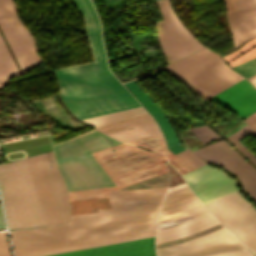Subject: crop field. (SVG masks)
Listing matches in <instances>:
<instances>
[{"label": "crop field", "instance_id": "crop-field-5", "mask_svg": "<svg viewBox=\"0 0 256 256\" xmlns=\"http://www.w3.org/2000/svg\"><path fill=\"white\" fill-rule=\"evenodd\" d=\"M200 97L208 100L226 87L244 79L207 48L165 67Z\"/></svg>", "mask_w": 256, "mask_h": 256}, {"label": "crop field", "instance_id": "crop-field-18", "mask_svg": "<svg viewBox=\"0 0 256 256\" xmlns=\"http://www.w3.org/2000/svg\"><path fill=\"white\" fill-rule=\"evenodd\" d=\"M147 112L143 109H135V110H130V111H124V112H119V113H114V114H109V115H104V116H100V117H95V118H91V119H87V120H83L89 124H91L92 126H94L95 128L106 125V124H110L122 119H126V118H130V117H134V116H138V115H142V114H146Z\"/></svg>", "mask_w": 256, "mask_h": 256}, {"label": "crop field", "instance_id": "crop-field-20", "mask_svg": "<svg viewBox=\"0 0 256 256\" xmlns=\"http://www.w3.org/2000/svg\"><path fill=\"white\" fill-rule=\"evenodd\" d=\"M154 231L155 230H150V231H144V232H138V233H132V234H124V235H117V236L102 237V238H96V239H90V240H84V241H78V242H72V243H66V244H60V245H53V246L18 250V251H14V253H15V255H17V254H23V253L34 252V251L45 250V249H51V248L62 247V246H68V245L103 241V240H109V239H115V238H121V237L133 236V235H140V234H149V233H154Z\"/></svg>", "mask_w": 256, "mask_h": 256}, {"label": "crop field", "instance_id": "crop-field-29", "mask_svg": "<svg viewBox=\"0 0 256 256\" xmlns=\"http://www.w3.org/2000/svg\"><path fill=\"white\" fill-rule=\"evenodd\" d=\"M226 2V6H227V10L230 11V10H235L234 6H233V3L231 0H225Z\"/></svg>", "mask_w": 256, "mask_h": 256}, {"label": "crop field", "instance_id": "crop-field-8", "mask_svg": "<svg viewBox=\"0 0 256 256\" xmlns=\"http://www.w3.org/2000/svg\"><path fill=\"white\" fill-rule=\"evenodd\" d=\"M156 251L158 256H253L224 227L200 238Z\"/></svg>", "mask_w": 256, "mask_h": 256}, {"label": "crop field", "instance_id": "crop-field-12", "mask_svg": "<svg viewBox=\"0 0 256 256\" xmlns=\"http://www.w3.org/2000/svg\"><path fill=\"white\" fill-rule=\"evenodd\" d=\"M211 99L237 112L242 119L256 111V90L245 79Z\"/></svg>", "mask_w": 256, "mask_h": 256}, {"label": "crop field", "instance_id": "crop-field-1", "mask_svg": "<svg viewBox=\"0 0 256 256\" xmlns=\"http://www.w3.org/2000/svg\"><path fill=\"white\" fill-rule=\"evenodd\" d=\"M26 159L48 226L70 223L67 191L52 151ZM26 159L0 165V192L10 231L47 226Z\"/></svg>", "mask_w": 256, "mask_h": 256}, {"label": "crop field", "instance_id": "crop-field-23", "mask_svg": "<svg viewBox=\"0 0 256 256\" xmlns=\"http://www.w3.org/2000/svg\"><path fill=\"white\" fill-rule=\"evenodd\" d=\"M232 68L241 74H243L246 78L256 74V58L240 63L238 65L232 66Z\"/></svg>", "mask_w": 256, "mask_h": 256}, {"label": "crop field", "instance_id": "crop-field-6", "mask_svg": "<svg viewBox=\"0 0 256 256\" xmlns=\"http://www.w3.org/2000/svg\"><path fill=\"white\" fill-rule=\"evenodd\" d=\"M17 17L12 0H0V31L20 69L16 72L0 40V88L9 77L29 71L40 61L34 40Z\"/></svg>", "mask_w": 256, "mask_h": 256}, {"label": "crop field", "instance_id": "crop-field-28", "mask_svg": "<svg viewBox=\"0 0 256 256\" xmlns=\"http://www.w3.org/2000/svg\"><path fill=\"white\" fill-rule=\"evenodd\" d=\"M248 125L253 127L256 130V116L255 115H250L249 117L243 119Z\"/></svg>", "mask_w": 256, "mask_h": 256}, {"label": "crop field", "instance_id": "crop-field-3", "mask_svg": "<svg viewBox=\"0 0 256 256\" xmlns=\"http://www.w3.org/2000/svg\"><path fill=\"white\" fill-rule=\"evenodd\" d=\"M135 146L124 143L92 154L118 186L72 192L69 193V200L108 197L106 192L166 172L162 157Z\"/></svg>", "mask_w": 256, "mask_h": 256}, {"label": "crop field", "instance_id": "crop-field-4", "mask_svg": "<svg viewBox=\"0 0 256 256\" xmlns=\"http://www.w3.org/2000/svg\"><path fill=\"white\" fill-rule=\"evenodd\" d=\"M52 147L69 192L115 185L90 155L106 149L95 130Z\"/></svg>", "mask_w": 256, "mask_h": 256}, {"label": "crop field", "instance_id": "crop-field-25", "mask_svg": "<svg viewBox=\"0 0 256 256\" xmlns=\"http://www.w3.org/2000/svg\"><path fill=\"white\" fill-rule=\"evenodd\" d=\"M168 162L181 174L193 170L190 166L168 151Z\"/></svg>", "mask_w": 256, "mask_h": 256}, {"label": "crop field", "instance_id": "crop-field-14", "mask_svg": "<svg viewBox=\"0 0 256 256\" xmlns=\"http://www.w3.org/2000/svg\"><path fill=\"white\" fill-rule=\"evenodd\" d=\"M253 6L228 12V19L235 49L256 37V0Z\"/></svg>", "mask_w": 256, "mask_h": 256}, {"label": "crop field", "instance_id": "crop-field-26", "mask_svg": "<svg viewBox=\"0 0 256 256\" xmlns=\"http://www.w3.org/2000/svg\"><path fill=\"white\" fill-rule=\"evenodd\" d=\"M0 256H9L3 232H0Z\"/></svg>", "mask_w": 256, "mask_h": 256}, {"label": "crop field", "instance_id": "crop-field-21", "mask_svg": "<svg viewBox=\"0 0 256 256\" xmlns=\"http://www.w3.org/2000/svg\"><path fill=\"white\" fill-rule=\"evenodd\" d=\"M132 143H135V144L141 145L145 148H148L150 150H153V151L157 152L158 154H160L164 158L166 157L165 144L162 140L160 133L132 141Z\"/></svg>", "mask_w": 256, "mask_h": 256}, {"label": "crop field", "instance_id": "crop-field-2", "mask_svg": "<svg viewBox=\"0 0 256 256\" xmlns=\"http://www.w3.org/2000/svg\"><path fill=\"white\" fill-rule=\"evenodd\" d=\"M85 22L94 61L53 70L62 102L78 119L141 106L107 70L98 18L89 0H71Z\"/></svg>", "mask_w": 256, "mask_h": 256}, {"label": "crop field", "instance_id": "crop-field-31", "mask_svg": "<svg viewBox=\"0 0 256 256\" xmlns=\"http://www.w3.org/2000/svg\"><path fill=\"white\" fill-rule=\"evenodd\" d=\"M250 82H251V83L256 82V78H255V79H253V80H250Z\"/></svg>", "mask_w": 256, "mask_h": 256}, {"label": "crop field", "instance_id": "crop-field-30", "mask_svg": "<svg viewBox=\"0 0 256 256\" xmlns=\"http://www.w3.org/2000/svg\"><path fill=\"white\" fill-rule=\"evenodd\" d=\"M3 229H5V226H4V221H3L2 212L0 208V230H3Z\"/></svg>", "mask_w": 256, "mask_h": 256}, {"label": "crop field", "instance_id": "crop-field-17", "mask_svg": "<svg viewBox=\"0 0 256 256\" xmlns=\"http://www.w3.org/2000/svg\"><path fill=\"white\" fill-rule=\"evenodd\" d=\"M151 236H154V234L133 236V237H127V238H121V239H115V240H109V241H103V242H96V243H89V244H82V245H75V246H68V247L56 248V249L45 250V251L29 253V254H24V255H18V256H46V255H51V254L69 251V250H75V249L87 248V247H92V246L134 240V239L151 237Z\"/></svg>", "mask_w": 256, "mask_h": 256}, {"label": "crop field", "instance_id": "crop-field-33", "mask_svg": "<svg viewBox=\"0 0 256 256\" xmlns=\"http://www.w3.org/2000/svg\"><path fill=\"white\" fill-rule=\"evenodd\" d=\"M256 85V83H253V86Z\"/></svg>", "mask_w": 256, "mask_h": 256}, {"label": "crop field", "instance_id": "crop-field-22", "mask_svg": "<svg viewBox=\"0 0 256 256\" xmlns=\"http://www.w3.org/2000/svg\"><path fill=\"white\" fill-rule=\"evenodd\" d=\"M250 133L256 136V131L249 126H244L236 133L226 137L237 149H239L245 156H247L255 165H256V158L252 156L236 139L240 138L241 136Z\"/></svg>", "mask_w": 256, "mask_h": 256}, {"label": "crop field", "instance_id": "crop-field-19", "mask_svg": "<svg viewBox=\"0 0 256 256\" xmlns=\"http://www.w3.org/2000/svg\"><path fill=\"white\" fill-rule=\"evenodd\" d=\"M255 45H256V38L247 42L245 45H243L238 50L224 56V59H225L226 63L229 64L230 66H232V65H235L237 63H240V62H243V61H246V60H249L251 58L256 57V47H254L251 50H249L247 53H245V54L241 55L240 57L234 59L235 57H237L238 55L243 53L245 50H247V49H249V48H251ZM231 60H233V61H231Z\"/></svg>", "mask_w": 256, "mask_h": 256}, {"label": "crop field", "instance_id": "crop-field-24", "mask_svg": "<svg viewBox=\"0 0 256 256\" xmlns=\"http://www.w3.org/2000/svg\"><path fill=\"white\" fill-rule=\"evenodd\" d=\"M176 155L194 169L206 164L203 160L199 159L195 154H193L189 149L184 150Z\"/></svg>", "mask_w": 256, "mask_h": 256}, {"label": "crop field", "instance_id": "crop-field-10", "mask_svg": "<svg viewBox=\"0 0 256 256\" xmlns=\"http://www.w3.org/2000/svg\"><path fill=\"white\" fill-rule=\"evenodd\" d=\"M199 158L223 167L235 175L242 190L256 201V170L221 140L194 152Z\"/></svg>", "mask_w": 256, "mask_h": 256}, {"label": "crop field", "instance_id": "crop-field-35", "mask_svg": "<svg viewBox=\"0 0 256 256\" xmlns=\"http://www.w3.org/2000/svg\"><path fill=\"white\" fill-rule=\"evenodd\" d=\"M256 88V86H254Z\"/></svg>", "mask_w": 256, "mask_h": 256}, {"label": "crop field", "instance_id": "crop-field-34", "mask_svg": "<svg viewBox=\"0 0 256 256\" xmlns=\"http://www.w3.org/2000/svg\"><path fill=\"white\" fill-rule=\"evenodd\" d=\"M253 114H255V115H256V112H255V113H253Z\"/></svg>", "mask_w": 256, "mask_h": 256}, {"label": "crop field", "instance_id": "crop-field-15", "mask_svg": "<svg viewBox=\"0 0 256 256\" xmlns=\"http://www.w3.org/2000/svg\"><path fill=\"white\" fill-rule=\"evenodd\" d=\"M125 85L140 101V103L148 110V112L156 119L166 138L169 150L176 154L184 149H187L184 144H178L179 141L171 125L158 109V107L153 103V101L133 81L125 83Z\"/></svg>", "mask_w": 256, "mask_h": 256}, {"label": "crop field", "instance_id": "crop-field-16", "mask_svg": "<svg viewBox=\"0 0 256 256\" xmlns=\"http://www.w3.org/2000/svg\"><path fill=\"white\" fill-rule=\"evenodd\" d=\"M110 208L108 198L70 202L71 215L98 212Z\"/></svg>", "mask_w": 256, "mask_h": 256}, {"label": "crop field", "instance_id": "crop-field-32", "mask_svg": "<svg viewBox=\"0 0 256 256\" xmlns=\"http://www.w3.org/2000/svg\"><path fill=\"white\" fill-rule=\"evenodd\" d=\"M254 77H256V75H254V76H252V77L248 78V80H250V79H252V78H254Z\"/></svg>", "mask_w": 256, "mask_h": 256}, {"label": "crop field", "instance_id": "crop-field-7", "mask_svg": "<svg viewBox=\"0 0 256 256\" xmlns=\"http://www.w3.org/2000/svg\"><path fill=\"white\" fill-rule=\"evenodd\" d=\"M205 206L256 254V208L239 191Z\"/></svg>", "mask_w": 256, "mask_h": 256}, {"label": "crop field", "instance_id": "crop-field-11", "mask_svg": "<svg viewBox=\"0 0 256 256\" xmlns=\"http://www.w3.org/2000/svg\"><path fill=\"white\" fill-rule=\"evenodd\" d=\"M51 256H155L154 237L69 251Z\"/></svg>", "mask_w": 256, "mask_h": 256}, {"label": "crop field", "instance_id": "crop-field-9", "mask_svg": "<svg viewBox=\"0 0 256 256\" xmlns=\"http://www.w3.org/2000/svg\"><path fill=\"white\" fill-rule=\"evenodd\" d=\"M163 22H153L168 63L204 48L179 22L168 1H156Z\"/></svg>", "mask_w": 256, "mask_h": 256}, {"label": "crop field", "instance_id": "crop-field-13", "mask_svg": "<svg viewBox=\"0 0 256 256\" xmlns=\"http://www.w3.org/2000/svg\"><path fill=\"white\" fill-rule=\"evenodd\" d=\"M97 129L106 135L125 142L160 132L149 114L119 121Z\"/></svg>", "mask_w": 256, "mask_h": 256}, {"label": "crop field", "instance_id": "crop-field-27", "mask_svg": "<svg viewBox=\"0 0 256 256\" xmlns=\"http://www.w3.org/2000/svg\"><path fill=\"white\" fill-rule=\"evenodd\" d=\"M236 9L252 5L250 0H232Z\"/></svg>", "mask_w": 256, "mask_h": 256}]
</instances>
